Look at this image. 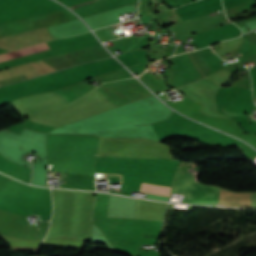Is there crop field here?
<instances>
[{"label": "crop field", "mask_w": 256, "mask_h": 256, "mask_svg": "<svg viewBox=\"0 0 256 256\" xmlns=\"http://www.w3.org/2000/svg\"><path fill=\"white\" fill-rule=\"evenodd\" d=\"M170 189L171 187L155 186V185H149L144 183H142L140 187V190H143V191H149V192H155V193H161V194H167V195H170Z\"/></svg>", "instance_id": "obj_2"}, {"label": "crop field", "mask_w": 256, "mask_h": 256, "mask_svg": "<svg viewBox=\"0 0 256 256\" xmlns=\"http://www.w3.org/2000/svg\"><path fill=\"white\" fill-rule=\"evenodd\" d=\"M47 49H51V46L48 44V42H45V43L39 44V45H35V46L26 47V48H23L18 51L9 52V53L0 55V62L9 60V59H13V58H17V57H21L24 55L36 53L39 51L47 50Z\"/></svg>", "instance_id": "obj_1"}]
</instances>
